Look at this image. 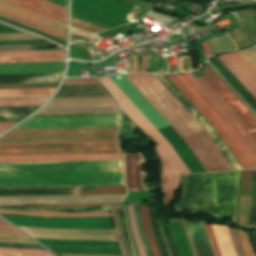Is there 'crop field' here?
I'll return each mask as SVG.
<instances>
[{
    "label": "crop field",
    "mask_w": 256,
    "mask_h": 256,
    "mask_svg": "<svg viewBox=\"0 0 256 256\" xmlns=\"http://www.w3.org/2000/svg\"><path fill=\"white\" fill-rule=\"evenodd\" d=\"M102 184H120L119 161L0 163V187Z\"/></svg>",
    "instance_id": "1"
},
{
    "label": "crop field",
    "mask_w": 256,
    "mask_h": 256,
    "mask_svg": "<svg viewBox=\"0 0 256 256\" xmlns=\"http://www.w3.org/2000/svg\"><path fill=\"white\" fill-rule=\"evenodd\" d=\"M126 77L179 133L206 171L233 169L206 131L154 74Z\"/></svg>",
    "instance_id": "2"
},
{
    "label": "crop field",
    "mask_w": 256,
    "mask_h": 256,
    "mask_svg": "<svg viewBox=\"0 0 256 256\" xmlns=\"http://www.w3.org/2000/svg\"><path fill=\"white\" fill-rule=\"evenodd\" d=\"M100 81L115 97L121 109L130 118V120L138 125L146 136L156 142L157 145L154 148L161 162V192L166 194L163 199V203L167 206L170 199L175 196V192L180 181V173H190V171L181 161L170 144L113 84V82L108 77L101 78Z\"/></svg>",
    "instance_id": "3"
},
{
    "label": "crop field",
    "mask_w": 256,
    "mask_h": 256,
    "mask_svg": "<svg viewBox=\"0 0 256 256\" xmlns=\"http://www.w3.org/2000/svg\"><path fill=\"white\" fill-rule=\"evenodd\" d=\"M166 76L215 128L243 169L256 168V160L229 123L189 81V79L184 74Z\"/></svg>",
    "instance_id": "4"
},
{
    "label": "crop field",
    "mask_w": 256,
    "mask_h": 256,
    "mask_svg": "<svg viewBox=\"0 0 256 256\" xmlns=\"http://www.w3.org/2000/svg\"><path fill=\"white\" fill-rule=\"evenodd\" d=\"M118 127L12 129L0 143L117 141Z\"/></svg>",
    "instance_id": "5"
},
{
    "label": "crop field",
    "mask_w": 256,
    "mask_h": 256,
    "mask_svg": "<svg viewBox=\"0 0 256 256\" xmlns=\"http://www.w3.org/2000/svg\"><path fill=\"white\" fill-rule=\"evenodd\" d=\"M121 151L117 142L0 144V153Z\"/></svg>",
    "instance_id": "6"
},
{
    "label": "crop field",
    "mask_w": 256,
    "mask_h": 256,
    "mask_svg": "<svg viewBox=\"0 0 256 256\" xmlns=\"http://www.w3.org/2000/svg\"><path fill=\"white\" fill-rule=\"evenodd\" d=\"M120 115L31 117L15 128L118 126Z\"/></svg>",
    "instance_id": "7"
},
{
    "label": "crop field",
    "mask_w": 256,
    "mask_h": 256,
    "mask_svg": "<svg viewBox=\"0 0 256 256\" xmlns=\"http://www.w3.org/2000/svg\"><path fill=\"white\" fill-rule=\"evenodd\" d=\"M207 75L202 76L206 83L243 122L256 141V118L253 113L235 96L208 65L203 67Z\"/></svg>",
    "instance_id": "8"
},
{
    "label": "crop field",
    "mask_w": 256,
    "mask_h": 256,
    "mask_svg": "<svg viewBox=\"0 0 256 256\" xmlns=\"http://www.w3.org/2000/svg\"><path fill=\"white\" fill-rule=\"evenodd\" d=\"M218 58L256 98V50L251 47Z\"/></svg>",
    "instance_id": "9"
},
{
    "label": "crop field",
    "mask_w": 256,
    "mask_h": 256,
    "mask_svg": "<svg viewBox=\"0 0 256 256\" xmlns=\"http://www.w3.org/2000/svg\"><path fill=\"white\" fill-rule=\"evenodd\" d=\"M0 16L6 17L66 41V25L3 1H0Z\"/></svg>",
    "instance_id": "10"
},
{
    "label": "crop field",
    "mask_w": 256,
    "mask_h": 256,
    "mask_svg": "<svg viewBox=\"0 0 256 256\" xmlns=\"http://www.w3.org/2000/svg\"><path fill=\"white\" fill-rule=\"evenodd\" d=\"M190 81L203 93V95L214 105V107L224 116V118L230 123L241 140L250 150L252 155L256 159V142L247 132L245 127L239 121V119L230 111V109L219 99V97L212 91V89L199 77L195 79L191 73L185 74Z\"/></svg>",
    "instance_id": "11"
},
{
    "label": "crop field",
    "mask_w": 256,
    "mask_h": 256,
    "mask_svg": "<svg viewBox=\"0 0 256 256\" xmlns=\"http://www.w3.org/2000/svg\"><path fill=\"white\" fill-rule=\"evenodd\" d=\"M123 160L121 153L0 155V162Z\"/></svg>",
    "instance_id": "12"
},
{
    "label": "crop field",
    "mask_w": 256,
    "mask_h": 256,
    "mask_svg": "<svg viewBox=\"0 0 256 256\" xmlns=\"http://www.w3.org/2000/svg\"><path fill=\"white\" fill-rule=\"evenodd\" d=\"M67 25V9L45 0H4Z\"/></svg>",
    "instance_id": "13"
},
{
    "label": "crop field",
    "mask_w": 256,
    "mask_h": 256,
    "mask_svg": "<svg viewBox=\"0 0 256 256\" xmlns=\"http://www.w3.org/2000/svg\"><path fill=\"white\" fill-rule=\"evenodd\" d=\"M65 50L0 53V56L65 54ZM65 60V55L0 57V62Z\"/></svg>",
    "instance_id": "14"
},
{
    "label": "crop field",
    "mask_w": 256,
    "mask_h": 256,
    "mask_svg": "<svg viewBox=\"0 0 256 256\" xmlns=\"http://www.w3.org/2000/svg\"><path fill=\"white\" fill-rule=\"evenodd\" d=\"M126 160V185L129 191L145 190L141 184L140 154H125Z\"/></svg>",
    "instance_id": "15"
},
{
    "label": "crop field",
    "mask_w": 256,
    "mask_h": 256,
    "mask_svg": "<svg viewBox=\"0 0 256 256\" xmlns=\"http://www.w3.org/2000/svg\"><path fill=\"white\" fill-rule=\"evenodd\" d=\"M0 213L33 215V216H43V217L111 216L109 211H106V212H92V213H60V212H45V211H37V210L0 209Z\"/></svg>",
    "instance_id": "16"
},
{
    "label": "crop field",
    "mask_w": 256,
    "mask_h": 256,
    "mask_svg": "<svg viewBox=\"0 0 256 256\" xmlns=\"http://www.w3.org/2000/svg\"><path fill=\"white\" fill-rule=\"evenodd\" d=\"M55 88L0 90V98L50 97Z\"/></svg>",
    "instance_id": "17"
},
{
    "label": "crop field",
    "mask_w": 256,
    "mask_h": 256,
    "mask_svg": "<svg viewBox=\"0 0 256 256\" xmlns=\"http://www.w3.org/2000/svg\"><path fill=\"white\" fill-rule=\"evenodd\" d=\"M222 256H236L227 227L211 225Z\"/></svg>",
    "instance_id": "18"
},
{
    "label": "crop field",
    "mask_w": 256,
    "mask_h": 256,
    "mask_svg": "<svg viewBox=\"0 0 256 256\" xmlns=\"http://www.w3.org/2000/svg\"><path fill=\"white\" fill-rule=\"evenodd\" d=\"M140 206V212H141V221H142V227L146 236V239L148 241L151 253L153 256H161V253L159 251L158 245L156 243L153 230L150 223L149 218V212L148 207Z\"/></svg>",
    "instance_id": "19"
},
{
    "label": "crop field",
    "mask_w": 256,
    "mask_h": 256,
    "mask_svg": "<svg viewBox=\"0 0 256 256\" xmlns=\"http://www.w3.org/2000/svg\"><path fill=\"white\" fill-rule=\"evenodd\" d=\"M75 191L76 195L125 194L127 192L124 186H96V192H80L79 187H75Z\"/></svg>",
    "instance_id": "20"
},
{
    "label": "crop field",
    "mask_w": 256,
    "mask_h": 256,
    "mask_svg": "<svg viewBox=\"0 0 256 256\" xmlns=\"http://www.w3.org/2000/svg\"><path fill=\"white\" fill-rule=\"evenodd\" d=\"M127 212L129 215V219H130V223H131V228H132V232L136 241V245L139 251L140 256H147L139 235V231H138V227H137V223H136V219H135V215H134V210H133V206L128 205L127 206Z\"/></svg>",
    "instance_id": "21"
},
{
    "label": "crop field",
    "mask_w": 256,
    "mask_h": 256,
    "mask_svg": "<svg viewBox=\"0 0 256 256\" xmlns=\"http://www.w3.org/2000/svg\"><path fill=\"white\" fill-rule=\"evenodd\" d=\"M47 98H32V99H4L0 103H22V102H40V103H23V104H0V106H25V105H42Z\"/></svg>",
    "instance_id": "22"
},
{
    "label": "crop field",
    "mask_w": 256,
    "mask_h": 256,
    "mask_svg": "<svg viewBox=\"0 0 256 256\" xmlns=\"http://www.w3.org/2000/svg\"><path fill=\"white\" fill-rule=\"evenodd\" d=\"M253 170L242 171L240 193H251Z\"/></svg>",
    "instance_id": "23"
},
{
    "label": "crop field",
    "mask_w": 256,
    "mask_h": 256,
    "mask_svg": "<svg viewBox=\"0 0 256 256\" xmlns=\"http://www.w3.org/2000/svg\"><path fill=\"white\" fill-rule=\"evenodd\" d=\"M71 25L91 31V32H98V31L106 30V29L100 28L98 26H95V25L80 21L78 19L72 18V17H71Z\"/></svg>",
    "instance_id": "24"
},
{
    "label": "crop field",
    "mask_w": 256,
    "mask_h": 256,
    "mask_svg": "<svg viewBox=\"0 0 256 256\" xmlns=\"http://www.w3.org/2000/svg\"><path fill=\"white\" fill-rule=\"evenodd\" d=\"M228 229H229V233H230L234 248L236 250L237 256H245L243 248L239 241L237 229L230 228V227H228Z\"/></svg>",
    "instance_id": "25"
},
{
    "label": "crop field",
    "mask_w": 256,
    "mask_h": 256,
    "mask_svg": "<svg viewBox=\"0 0 256 256\" xmlns=\"http://www.w3.org/2000/svg\"><path fill=\"white\" fill-rule=\"evenodd\" d=\"M202 222H203V225H204L206 234H207V236H208V239H209V242H210V245H211V248H212V251H213L214 256H221V255H220V252H219V249H218V247H217L215 238H214V236H213V233H212V230H211L210 225L207 224L205 221H202Z\"/></svg>",
    "instance_id": "26"
},
{
    "label": "crop field",
    "mask_w": 256,
    "mask_h": 256,
    "mask_svg": "<svg viewBox=\"0 0 256 256\" xmlns=\"http://www.w3.org/2000/svg\"><path fill=\"white\" fill-rule=\"evenodd\" d=\"M238 232H239L240 241H241V244L244 248L246 256H254V254L252 252V249L250 247L248 232L243 231V230H239V229H238Z\"/></svg>",
    "instance_id": "27"
},
{
    "label": "crop field",
    "mask_w": 256,
    "mask_h": 256,
    "mask_svg": "<svg viewBox=\"0 0 256 256\" xmlns=\"http://www.w3.org/2000/svg\"><path fill=\"white\" fill-rule=\"evenodd\" d=\"M119 204H83V205H39L26 208H49V207H95V206H118Z\"/></svg>",
    "instance_id": "28"
},
{
    "label": "crop field",
    "mask_w": 256,
    "mask_h": 256,
    "mask_svg": "<svg viewBox=\"0 0 256 256\" xmlns=\"http://www.w3.org/2000/svg\"><path fill=\"white\" fill-rule=\"evenodd\" d=\"M38 85H53V86H38ZM58 83H40V84H10V85H0V87L8 86H38V87H57ZM38 87H8V88H38ZM0 88V89H8Z\"/></svg>",
    "instance_id": "29"
},
{
    "label": "crop field",
    "mask_w": 256,
    "mask_h": 256,
    "mask_svg": "<svg viewBox=\"0 0 256 256\" xmlns=\"http://www.w3.org/2000/svg\"><path fill=\"white\" fill-rule=\"evenodd\" d=\"M98 84L96 79L65 80L63 85Z\"/></svg>",
    "instance_id": "30"
},
{
    "label": "crop field",
    "mask_w": 256,
    "mask_h": 256,
    "mask_svg": "<svg viewBox=\"0 0 256 256\" xmlns=\"http://www.w3.org/2000/svg\"><path fill=\"white\" fill-rule=\"evenodd\" d=\"M0 235H14V236L26 237L18 230L12 227H4V226H0Z\"/></svg>",
    "instance_id": "31"
},
{
    "label": "crop field",
    "mask_w": 256,
    "mask_h": 256,
    "mask_svg": "<svg viewBox=\"0 0 256 256\" xmlns=\"http://www.w3.org/2000/svg\"><path fill=\"white\" fill-rule=\"evenodd\" d=\"M111 212H112V218H113V223H114V227H115V234H116V236H117V238H118L122 255H123V256H126L125 251H124L123 246H122V243H121L120 235H119V230H118V226H117L115 210H114V209H111Z\"/></svg>",
    "instance_id": "32"
},
{
    "label": "crop field",
    "mask_w": 256,
    "mask_h": 256,
    "mask_svg": "<svg viewBox=\"0 0 256 256\" xmlns=\"http://www.w3.org/2000/svg\"><path fill=\"white\" fill-rule=\"evenodd\" d=\"M0 251H9V252H25V253H37V254H45L51 255L47 251H37V250H21V249H9V248H0Z\"/></svg>",
    "instance_id": "33"
},
{
    "label": "crop field",
    "mask_w": 256,
    "mask_h": 256,
    "mask_svg": "<svg viewBox=\"0 0 256 256\" xmlns=\"http://www.w3.org/2000/svg\"><path fill=\"white\" fill-rule=\"evenodd\" d=\"M0 256H45V255L24 254V253H3V252H0Z\"/></svg>",
    "instance_id": "34"
},
{
    "label": "crop field",
    "mask_w": 256,
    "mask_h": 256,
    "mask_svg": "<svg viewBox=\"0 0 256 256\" xmlns=\"http://www.w3.org/2000/svg\"><path fill=\"white\" fill-rule=\"evenodd\" d=\"M16 122H2L0 123V133L10 128L12 125H14Z\"/></svg>",
    "instance_id": "35"
},
{
    "label": "crop field",
    "mask_w": 256,
    "mask_h": 256,
    "mask_svg": "<svg viewBox=\"0 0 256 256\" xmlns=\"http://www.w3.org/2000/svg\"><path fill=\"white\" fill-rule=\"evenodd\" d=\"M180 220H181L182 225H183V227H184V229H185V231H186V233H187V235H188V238H189V241H190V244H191V248H192L193 254H194V256H197V254H196V252H195V249H194V247H193L192 241H191V239H190L189 232H188L187 226H186V224H185V221H184L183 218H180Z\"/></svg>",
    "instance_id": "36"
},
{
    "label": "crop field",
    "mask_w": 256,
    "mask_h": 256,
    "mask_svg": "<svg viewBox=\"0 0 256 256\" xmlns=\"http://www.w3.org/2000/svg\"><path fill=\"white\" fill-rule=\"evenodd\" d=\"M202 46H203V50H204V53H205V56L209 55L212 53V50L211 48L209 47L207 41L202 43Z\"/></svg>",
    "instance_id": "37"
},
{
    "label": "crop field",
    "mask_w": 256,
    "mask_h": 256,
    "mask_svg": "<svg viewBox=\"0 0 256 256\" xmlns=\"http://www.w3.org/2000/svg\"><path fill=\"white\" fill-rule=\"evenodd\" d=\"M0 241H6V242H20V243H33V244H36L35 242H25V241L7 240V239H0Z\"/></svg>",
    "instance_id": "38"
},
{
    "label": "crop field",
    "mask_w": 256,
    "mask_h": 256,
    "mask_svg": "<svg viewBox=\"0 0 256 256\" xmlns=\"http://www.w3.org/2000/svg\"><path fill=\"white\" fill-rule=\"evenodd\" d=\"M51 1H54V2L59 3L61 5L67 6V1L68 0H51Z\"/></svg>",
    "instance_id": "39"
},
{
    "label": "crop field",
    "mask_w": 256,
    "mask_h": 256,
    "mask_svg": "<svg viewBox=\"0 0 256 256\" xmlns=\"http://www.w3.org/2000/svg\"><path fill=\"white\" fill-rule=\"evenodd\" d=\"M62 256H100V255H62Z\"/></svg>",
    "instance_id": "40"
},
{
    "label": "crop field",
    "mask_w": 256,
    "mask_h": 256,
    "mask_svg": "<svg viewBox=\"0 0 256 256\" xmlns=\"http://www.w3.org/2000/svg\"><path fill=\"white\" fill-rule=\"evenodd\" d=\"M0 225L9 226L7 223H5L4 221H2L1 219H0Z\"/></svg>",
    "instance_id": "41"
},
{
    "label": "crop field",
    "mask_w": 256,
    "mask_h": 256,
    "mask_svg": "<svg viewBox=\"0 0 256 256\" xmlns=\"http://www.w3.org/2000/svg\"><path fill=\"white\" fill-rule=\"evenodd\" d=\"M6 237H13V236H6ZM18 238H20V237H18ZM24 239H29V238H24Z\"/></svg>",
    "instance_id": "42"
},
{
    "label": "crop field",
    "mask_w": 256,
    "mask_h": 256,
    "mask_svg": "<svg viewBox=\"0 0 256 256\" xmlns=\"http://www.w3.org/2000/svg\"><path fill=\"white\" fill-rule=\"evenodd\" d=\"M254 47L256 48V45H254Z\"/></svg>",
    "instance_id": "43"
}]
</instances>
